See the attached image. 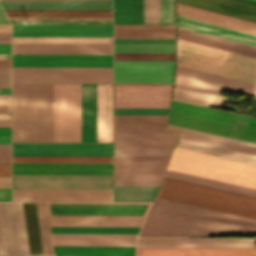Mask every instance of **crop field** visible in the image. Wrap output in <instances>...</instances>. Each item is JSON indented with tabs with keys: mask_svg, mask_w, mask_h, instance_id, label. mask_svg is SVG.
<instances>
[{
	"mask_svg": "<svg viewBox=\"0 0 256 256\" xmlns=\"http://www.w3.org/2000/svg\"><path fill=\"white\" fill-rule=\"evenodd\" d=\"M165 177L256 198L255 189L233 185L225 182H220V181H216L208 178H203V177L190 175L182 172H177L169 169L166 170Z\"/></svg>",
	"mask_w": 256,
	"mask_h": 256,
	"instance_id": "obj_37",
	"label": "crop field"
},
{
	"mask_svg": "<svg viewBox=\"0 0 256 256\" xmlns=\"http://www.w3.org/2000/svg\"><path fill=\"white\" fill-rule=\"evenodd\" d=\"M7 17H112V10H4Z\"/></svg>",
	"mask_w": 256,
	"mask_h": 256,
	"instance_id": "obj_38",
	"label": "crop field"
},
{
	"mask_svg": "<svg viewBox=\"0 0 256 256\" xmlns=\"http://www.w3.org/2000/svg\"><path fill=\"white\" fill-rule=\"evenodd\" d=\"M169 156H114V178H162Z\"/></svg>",
	"mask_w": 256,
	"mask_h": 256,
	"instance_id": "obj_18",
	"label": "crop field"
},
{
	"mask_svg": "<svg viewBox=\"0 0 256 256\" xmlns=\"http://www.w3.org/2000/svg\"><path fill=\"white\" fill-rule=\"evenodd\" d=\"M158 198L256 220V199L164 178Z\"/></svg>",
	"mask_w": 256,
	"mask_h": 256,
	"instance_id": "obj_4",
	"label": "crop field"
},
{
	"mask_svg": "<svg viewBox=\"0 0 256 256\" xmlns=\"http://www.w3.org/2000/svg\"><path fill=\"white\" fill-rule=\"evenodd\" d=\"M134 247H54L56 256H133Z\"/></svg>",
	"mask_w": 256,
	"mask_h": 256,
	"instance_id": "obj_39",
	"label": "crop field"
},
{
	"mask_svg": "<svg viewBox=\"0 0 256 256\" xmlns=\"http://www.w3.org/2000/svg\"><path fill=\"white\" fill-rule=\"evenodd\" d=\"M256 234V221L156 198L138 236Z\"/></svg>",
	"mask_w": 256,
	"mask_h": 256,
	"instance_id": "obj_1",
	"label": "crop field"
},
{
	"mask_svg": "<svg viewBox=\"0 0 256 256\" xmlns=\"http://www.w3.org/2000/svg\"><path fill=\"white\" fill-rule=\"evenodd\" d=\"M12 67H112V55H12Z\"/></svg>",
	"mask_w": 256,
	"mask_h": 256,
	"instance_id": "obj_15",
	"label": "crop field"
},
{
	"mask_svg": "<svg viewBox=\"0 0 256 256\" xmlns=\"http://www.w3.org/2000/svg\"><path fill=\"white\" fill-rule=\"evenodd\" d=\"M0 254H29L21 202H0Z\"/></svg>",
	"mask_w": 256,
	"mask_h": 256,
	"instance_id": "obj_12",
	"label": "crop field"
},
{
	"mask_svg": "<svg viewBox=\"0 0 256 256\" xmlns=\"http://www.w3.org/2000/svg\"><path fill=\"white\" fill-rule=\"evenodd\" d=\"M168 129L182 131L179 137L181 139L256 155V144L253 143L179 127L171 124H169Z\"/></svg>",
	"mask_w": 256,
	"mask_h": 256,
	"instance_id": "obj_27",
	"label": "crop field"
},
{
	"mask_svg": "<svg viewBox=\"0 0 256 256\" xmlns=\"http://www.w3.org/2000/svg\"><path fill=\"white\" fill-rule=\"evenodd\" d=\"M177 26L256 46V35L253 34L203 23L179 16H177Z\"/></svg>",
	"mask_w": 256,
	"mask_h": 256,
	"instance_id": "obj_34",
	"label": "crop field"
},
{
	"mask_svg": "<svg viewBox=\"0 0 256 256\" xmlns=\"http://www.w3.org/2000/svg\"><path fill=\"white\" fill-rule=\"evenodd\" d=\"M114 38H174V25H114Z\"/></svg>",
	"mask_w": 256,
	"mask_h": 256,
	"instance_id": "obj_36",
	"label": "crop field"
},
{
	"mask_svg": "<svg viewBox=\"0 0 256 256\" xmlns=\"http://www.w3.org/2000/svg\"><path fill=\"white\" fill-rule=\"evenodd\" d=\"M151 203H47L49 215H145Z\"/></svg>",
	"mask_w": 256,
	"mask_h": 256,
	"instance_id": "obj_16",
	"label": "crop field"
},
{
	"mask_svg": "<svg viewBox=\"0 0 256 256\" xmlns=\"http://www.w3.org/2000/svg\"><path fill=\"white\" fill-rule=\"evenodd\" d=\"M177 38L255 57L256 58V47L178 28L177 27Z\"/></svg>",
	"mask_w": 256,
	"mask_h": 256,
	"instance_id": "obj_32",
	"label": "crop field"
},
{
	"mask_svg": "<svg viewBox=\"0 0 256 256\" xmlns=\"http://www.w3.org/2000/svg\"><path fill=\"white\" fill-rule=\"evenodd\" d=\"M12 43H112V37H12Z\"/></svg>",
	"mask_w": 256,
	"mask_h": 256,
	"instance_id": "obj_45",
	"label": "crop field"
},
{
	"mask_svg": "<svg viewBox=\"0 0 256 256\" xmlns=\"http://www.w3.org/2000/svg\"><path fill=\"white\" fill-rule=\"evenodd\" d=\"M241 1H245V2H248V3L256 4V1H254V0H241Z\"/></svg>",
	"mask_w": 256,
	"mask_h": 256,
	"instance_id": "obj_73",
	"label": "crop field"
},
{
	"mask_svg": "<svg viewBox=\"0 0 256 256\" xmlns=\"http://www.w3.org/2000/svg\"><path fill=\"white\" fill-rule=\"evenodd\" d=\"M12 201H112V190L12 189Z\"/></svg>",
	"mask_w": 256,
	"mask_h": 256,
	"instance_id": "obj_17",
	"label": "crop field"
},
{
	"mask_svg": "<svg viewBox=\"0 0 256 256\" xmlns=\"http://www.w3.org/2000/svg\"><path fill=\"white\" fill-rule=\"evenodd\" d=\"M0 201H10V189H0Z\"/></svg>",
	"mask_w": 256,
	"mask_h": 256,
	"instance_id": "obj_61",
	"label": "crop field"
},
{
	"mask_svg": "<svg viewBox=\"0 0 256 256\" xmlns=\"http://www.w3.org/2000/svg\"><path fill=\"white\" fill-rule=\"evenodd\" d=\"M0 23H8L2 9L0 8Z\"/></svg>",
	"mask_w": 256,
	"mask_h": 256,
	"instance_id": "obj_65",
	"label": "crop field"
},
{
	"mask_svg": "<svg viewBox=\"0 0 256 256\" xmlns=\"http://www.w3.org/2000/svg\"><path fill=\"white\" fill-rule=\"evenodd\" d=\"M12 188L112 189V176L12 175Z\"/></svg>",
	"mask_w": 256,
	"mask_h": 256,
	"instance_id": "obj_11",
	"label": "crop field"
},
{
	"mask_svg": "<svg viewBox=\"0 0 256 256\" xmlns=\"http://www.w3.org/2000/svg\"><path fill=\"white\" fill-rule=\"evenodd\" d=\"M0 39H10V33H0Z\"/></svg>",
	"mask_w": 256,
	"mask_h": 256,
	"instance_id": "obj_70",
	"label": "crop field"
},
{
	"mask_svg": "<svg viewBox=\"0 0 256 256\" xmlns=\"http://www.w3.org/2000/svg\"><path fill=\"white\" fill-rule=\"evenodd\" d=\"M81 142H96V84H81Z\"/></svg>",
	"mask_w": 256,
	"mask_h": 256,
	"instance_id": "obj_31",
	"label": "crop field"
},
{
	"mask_svg": "<svg viewBox=\"0 0 256 256\" xmlns=\"http://www.w3.org/2000/svg\"><path fill=\"white\" fill-rule=\"evenodd\" d=\"M0 136H10V128H0Z\"/></svg>",
	"mask_w": 256,
	"mask_h": 256,
	"instance_id": "obj_64",
	"label": "crop field"
},
{
	"mask_svg": "<svg viewBox=\"0 0 256 256\" xmlns=\"http://www.w3.org/2000/svg\"><path fill=\"white\" fill-rule=\"evenodd\" d=\"M161 24H174L173 0H160Z\"/></svg>",
	"mask_w": 256,
	"mask_h": 256,
	"instance_id": "obj_53",
	"label": "crop field"
},
{
	"mask_svg": "<svg viewBox=\"0 0 256 256\" xmlns=\"http://www.w3.org/2000/svg\"><path fill=\"white\" fill-rule=\"evenodd\" d=\"M3 9H112L111 0H0Z\"/></svg>",
	"mask_w": 256,
	"mask_h": 256,
	"instance_id": "obj_23",
	"label": "crop field"
},
{
	"mask_svg": "<svg viewBox=\"0 0 256 256\" xmlns=\"http://www.w3.org/2000/svg\"><path fill=\"white\" fill-rule=\"evenodd\" d=\"M182 3L256 21V6L234 0H180Z\"/></svg>",
	"mask_w": 256,
	"mask_h": 256,
	"instance_id": "obj_35",
	"label": "crop field"
},
{
	"mask_svg": "<svg viewBox=\"0 0 256 256\" xmlns=\"http://www.w3.org/2000/svg\"><path fill=\"white\" fill-rule=\"evenodd\" d=\"M169 169L256 189V165L175 147Z\"/></svg>",
	"mask_w": 256,
	"mask_h": 256,
	"instance_id": "obj_5",
	"label": "crop field"
},
{
	"mask_svg": "<svg viewBox=\"0 0 256 256\" xmlns=\"http://www.w3.org/2000/svg\"><path fill=\"white\" fill-rule=\"evenodd\" d=\"M223 90L256 96V85L176 65L173 99L220 108Z\"/></svg>",
	"mask_w": 256,
	"mask_h": 256,
	"instance_id": "obj_6",
	"label": "crop field"
},
{
	"mask_svg": "<svg viewBox=\"0 0 256 256\" xmlns=\"http://www.w3.org/2000/svg\"><path fill=\"white\" fill-rule=\"evenodd\" d=\"M0 177H10V164H0Z\"/></svg>",
	"mask_w": 256,
	"mask_h": 256,
	"instance_id": "obj_60",
	"label": "crop field"
},
{
	"mask_svg": "<svg viewBox=\"0 0 256 256\" xmlns=\"http://www.w3.org/2000/svg\"><path fill=\"white\" fill-rule=\"evenodd\" d=\"M12 83H112V68H12Z\"/></svg>",
	"mask_w": 256,
	"mask_h": 256,
	"instance_id": "obj_9",
	"label": "crop field"
},
{
	"mask_svg": "<svg viewBox=\"0 0 256 256\" xmlns=\"http://www.w3.org/2000/svg\"><path fill=\"white\" fill-rule=\"evenodd\" d=\"M0 87H10V68H0Z\"/></svg>",
	"mask_w": 256,
	"mask_h": 256,
	"instance_id": "obj_57",
	"label": "crop field"
},
{
	"mask_svg": "<svg viewBox=\"0 0 256 256\" xmlns=\"http://www.w3.org/2000/svg\"><path fill=\"white\" fill-rule=\"evenodd\" d=\"M30 254H43L35 202H22Z\"/></svg>",
	"mask_w": 256,
	"mask_h": 256,
	"instance_id": "obj_40",
	"label": "crop field"
},
{
	"mask_svg": "<svg viewBox=\"0 0 256 256\" xmlns=\"http://www.w3.org/2000/svg\"><path fill=\"white\" fill-rule=\"evenodd\" d=\"M171 84H114V108H169Z\"/></svg>",
	"mask_w": 256,
	"mask_h": 256,
	"instance_id": "obj_10",
	"label": "crop field"
},
{
	"mask_svg": "<svg viewBox=\"0 0 256 256\" xmlns=\"http://www.w3.org/2000/svg\"><path fill=\"white\" fill-rule=\"evenodd\" d=\"M53 142H80V84H53Z\"/></svg>",
	"mask_w": 256,
	"mask_h": 256,
	"instance_id": "obj_8",
	"label": "crop field"
},
{
	"mask_svg": "<svg viewBox=\"0 0 256 256\" xmlns=\"http://www.w3.org/2000/svg\"><path fill=\"white\" fill-rule=\"evenodd\" d=\"M167 117L114 115V132L176 133L166 130Z\"/></svg>",
	"mask_w": 256,
	"mask_h": 256,
	"instance_id": "obj_29",
	"label": "crop field"
},
{
	"mask_svg": "<svg viewBox=\"0 0 256 256\" xmlns=\"http://www.w3.org/2000/svg\"><path fill=\"white\" fill-rule=\"evenodd\" d=\"M114 52H174V45H114Z\"/></svg>",
	"mask_w": 256,
	"mask_h": 256,
	"instance_id": "obj_49",
	"label": "crop field"
},
{
	"mask_svg": "<svg viewBox=\"0 0 256 256\" xmlns=\"http://www.w3.org/2000/svg\"><path fill=\"white\" fill-rule=\"evenodd\" d=\"M44 254H53L45 203L36 202Z\"/></svg>",
	"mask_w": 256,
	"mask_h": 256,
	"instance_id": "obj_48",
	"label": "crop field"
},
{
	"mask_svg": "<svg viewBox=\"0 0 256 256\" xmlns=\"http://www.w3.org/2000/svg\"><path fill=\"white\" fill-rule=\"evenodd\" d=\"M137 234H52L54 246H134Z\"/></svg>",
	"mask_w": 256,
	"mask_h": 256,
	"instance_id": "obj_24",
	"label": "crop field"
},
{
	"mask_svg": "<svg viewBox=\"0 0 256 256\" xmlns=\"http://www.w3.org/2000/svg\"><path fill=\"white\" fill-rule=\"evenodd\" d=\"M178 135L114 133V147H173Z\"/></svg>",
	"mask_w": 256,
	"mask_h": 256,
	"instance_id": "obj_33",
	"label": "crop field"
},
{
	"mask_svg": "<svg viewBox=\"0 0 256 256\" xmlns=\"http://www.w3.org/2000/svg\"><path fill=\"white\" fill-rule=\"evenodd\" d=\"M0 188H10V178H0Z\"/></svg>",
	"mask_w": 256,
	"mask_h": 256,
	"instance_id": "obj_62",
	"label": "crop field"
},
{
	"mask_svg": "<svg viewBox=\"0 0 256 256\" xmlns=\"http://www.w3.org/2000/svg\"><path fill=\"white\" fill-rule=\"evenodd\" d=\"M162 179H114V185H159Z\"/></svg>",
	"mask_w": 256,
	"mask_h": 256,
	"instance_id": "obj_56",
	"label": "crop field"
},
{
	"mask_svg": "<svg viewBox=\"0 0 256 256\" xmlns=\"http://www.w3.org/2000/svg\"><path fill=\"white\" fill-rule=\"evenodd\" d=\"M176 146L256 164V156L247 155V154H243V153H239V152H234V151H230V150L207 146V145L194 143V142H190V141H185V140H181V139L178 140Z\"/></svg>",
	"mask_w": 256,
	"mask_h": 256,
	"instance_id": "obj_43",
	"label": "crop field"
},
{
	"mask_svg": "<svg viewBox=\"0 0 256 256\" xmlns=\"http://www.w3.org/2000/svg\"><path fill=\"white\" fill-rule=\"evenodd\" d=\"M11 23H112V18H9Z\"/></svg>",
	"mask_w": 256,
	"mask_h": 256,
	"instance_id": "obj_47",
	"label": "crop field"
},
{
	"mask_svg": "<svg viewBox=\"0 0 256 256\" xmlns=\"http://www.w3.org/2000/svg\"><path fill=\"white\" fill-rule=\"evenodd\" d=\"M0 112H10V95H0Z\"/></svg>",
	"mask_w": 256,
	"mask_h": 256,
	"instance_id": "obj_59",
	"label": "crop field"
},
{
	"mask_svg": "<svg viewBox=\"0 0 256 256\" xmlns=\"http://www.w3.org/2000/svg\"><path fill=\"white\" fill-rule=\"evenodd\" d=\"M169 123L256 143V118L172 100Z\"/></svg>",
	"mask_w": 256,
	"mask_h": 256,
	"instance_id": "obj_3",
	"label": "crop field"
},
{
	"mask_svg": "<svg viewBox=\"0 0 256 256\" xmlns=\"http://www.w3.org/2000/svg\"><path fill=\"white\" fill-rule=\"evenodd\" d=\"M135 256H256V248H136Z\"/></svg>",
	"mask_w": 256,
	"mask_h": 256,
	"instance_id": "obj_25",
	"label": "crop field"
},
{
	"mask_svg": "<svg viewBox=\"0 0 256 256\" xmlns=\"http://www.w3.org/2000/svg\"><path fill=\"white\" fill-rule=\"evenodd\" d=\"M0 119H10V114H0Z\"/></svg>",
	"mask_w": 256,
	"mask_h": 256,
	"instance_id": "obj_71",
	"label": "crop field"
},
{
	"mask_svg": "<svg viewBox=\"0 0 256 256\" xmlns=\"http://www.w3.org/2000/svg\"><path fill=\"white\" fill-rule=\"evenodd\" d=\"M12 174L112 175V164L12 163Z\"/></svg>",
	"mask_w": 256,
	"mask_h": 256,
	"instance_id": "obj_20",
	"label": "crop field"
},
{
	"mask_svg": "<svg viewBox=\"0 0 256 256\" xmlns=\"http://www.w3.org/2000/svg\"><path fill=\"white\" fill-rule=\"evenodd\" d=\"M0 67H10V60H0Z\"/></svg>",
	"mask_w": 256,
	"mask_h": 256,
	"instance_id": "obj_68",
	"label": "crop field"
},
{
	"mask_svg": "<svg viewBox=\"0 0 256 256\" xmlns=\"http://www.w3.org/2000/svg\"><path fill=\"white\" fill-rule=\"evenodd\" d=\"M256 238H138L136 247H255Z\"/></svg>",
	"mask_w": 256,
	"mask_h": 256,
	"instance_id": "obj_21",
	"label": "crop field"
},
{
	"mask_svg": "<svg viewBox=\"0 0 256 256\" xmlns=\"http://www.w3.org/2000/svg\"><path fill=\"white\" fill-rule=\"evenodd\" d=\"M0 127H10V120H0Z\"/></svg>",
	"mask_w": 256,
	"mask_h": 256,
	"instance_id": "obj_67",
	"label": "crop field"
},
{
	"mask_svg": "<svg viewBox=\"0 0 256 256\" xmlns=\"http://www.w3.org/2000/svg\"><path fill=\"white\" fill-rule=\"evenodd\" d=\"M177 52L227 64L228 52L178 40ZM176 64L256 84V59L230 53L229 66L178 54Z\"/></svg>",
	"mask_w": 256,
	"mask_h": 256,
	"instance_id": "obj_7",
	"label": "crop field"
},
{
	"mask_svg": "<svg viewBox=\"0 0 256 256\" xmlns=\"http://www.w3.org/2000/svg\"><path fill=\"white\" fill-rule=\"evenodd\" d=\"M12 141L52 142V84H12Z\"/></svg>",
	"mask_w": 256,
	"mask_h": 256,
	"instance_id": "obj_2",
	"label": "crop field"
},
{
	"mask_svg": "<svg viewBox=\"0 0 256 256\" xmlns=\"http://www.w3.org/2000/svg\"><path fill=\"white\" fill-rule=\"evenodd\" d=\"M177 15L256 34V23L178 4Z\"/></svg>",
	"mask_w": 256,
	"mask_h": 256,
	"instance_id": "obj_28",
	"label": "crop field"
},
{
	"mask_svg": "<svg viewBox=\"0 0 256 256\" xmlns=\"http://www.w3.org/2000/svg\"><path fill=\"white\" fill-rule=\"evenodd\" d=\"M144 24H160L159 0H143Z\"/></svg>",
	"mask_w": 256,
	"mask_h": 256,
	"instance_id": "obj_52",
	"label": "crop field"
},
{
	"mask_svg": "<svg viewBox=\"0 0 256 256\" xmlns=\"http://www.w3.org/2000/svg\"><path fill=\"white\" fill-rule=\"evenodd\" d=\"M174 53H114V60H173Z\"/></svg>",
	"mask_w": 256,
	"mask_h": 256,
	"instance_id": "obj_50",
	"label": "crop field"
},
{
	"mask_svg": "<svg viewBox=\"0 0 256 256\" xmlns=\"http://www.w3.org/2000/svg\"><path fill=\"white\" fill-rule=\"evenodd\" d=\"M0 144H10V137H0Z\"/></svg>",
	"mask_w": 256,
	"mask_h": 256,
	"instance_id": "obj_66",
	"label": "crop field"
},
{
	"mask_svg": "<svg viewBox=\"0 0 256 256\" xmlns=\"http://www.w3.org/2000/svg\"><path fill=\"white\" fill-rule=\"evenodd\" d=\"M140 227H51L52 233H137Z\"/></svg>",
	"mask_w": 256,
	"mask_h": 256,
	"instance_id": "obj_46",
	"label": "crop field"
},
{
	"mask_svg": "<svg viewBox=\"0 0 256 256\" xmlns=\"http://www.w3.org/2000/svg\"><path fill=\"white\" fill-rule=\"evenodd\" d=\"M0 53H10V44H0Z\"/></svg>",
	"mask_w": 256,
	"mask_h": 256,
	"instance_id": "obj_63",
	"label": "crop field"
},
{
	"mask_svg": "<svg viewBox=\"0 0 256 256\" xmlns=\"http://www.w3.org/2000/svg\"><path fill=\"white\" fill-rule=\"evenodd\" d=\"M0 43H10V40H0Z\"/></svg>",
	"mask_w": 256,
	"mask_h": 256,
	"instance_id": "obj_74",
	"label": "crop field"
},
{
	"mask_svg": "<svg viewBox=\"0 0 256 256\" xmlns=\"http://www.w3.org/2000/svg\"><path fill=\"white\" fill-rule=\"evenodd\" d=\"M173 148H114V155H170Z\"/></svg>",
	"mask_w": 256,
	"mask_h": 256,
	"instance_id": "obj_51",
	"label": "crop field"
},
{
	"mask_svg": "<svg viewBox=\"0 0 256 256\" xmlns=\"http://www.w3.org/2000/svg\"><path fill=\"white\" fill-rule=\"evenodd\" d=\"M0 59H10V54H0Z\"/></svg>",
	"mask_w": 256,
	"mask_h": 256,
	"instance_id": "obj_72",
	"label": "crop field"
},
{
	"mask_svg": "<svg viewBox=\"0 0 256 256\" xmlns=\"http://www.w3.org/2000/svg\"><path fill=\"white\" fill-rule=\"evenodd\" d=\"M12 155L112 156V143H12Z\"/></svg>",
	"mask_w": 256,
	"mask_h": 256,
	"instance_id": "obj_14",
	"label": "crop field"
},
{
	"mask_svg": "<svg viewBox=\"0 0 256 256\" xmlns=\"http://www.w3.org/2000/svg\"><path fill=\"white\" fill-rule=\"evenodd\" d=\"M12 162L112 163V157L12 156Z\"/></svg>",
	"mask_w": 256,
	"mask_h": 256,
	"instance_id": "obj_44",
	"label": "crop field"
},
{
	"mask_svg": "<svg viewBox=\"0 0 256 256\" xmlns=\"http://www.w3.org/2000/svg\"><path fill=\"white\" fill-rule=\"evenodd\" d=\"M159 186H114V201H152Z\"/></svg>",
	"mask_w": 256,
	"mask_h": 256,
	"instance_id": "obj_42",
	"label": "crop field"
},
{
	"mask_svg": "<svg viewBox=\"0 0 256 256\" xmlns=\"http://www.w3.org/2000/svg\"><path fill=\"white\" fill-rule=\"evenodd\" d=\"M0 94H10V88H0Z\"/></svg>",
	"mask_w": 256,
	"mask_h": 256,
	"instance_id": "obj_69",
	"label": "crop field"
},
{
	"mask_svg": "<svg viewBox=\"0 0 256 256\" xmlns=\"http://www.w3.org/2000/svg\"><path fill=\"white\" fill-rule=\"evenodd\" d=\"M12 36H112V25H12Z\"/></svg>",
	"mask_w": 256,
	"mask_h": 256,
	"instance_id": "obj_19",
	"label": "crop field"
},
{
	"mask_svg": "<svg viewBox=\"0 0 256 256\" xmlns=\"http://www.w3.org/2000/svg\"><path fill=\"white\" fill-rule=\"evenodd\" d=\"M169 109H114V114L168 115Z\"/></svg>",
	"mask_w": 256,
	"mask_h": 256,
	"instance_id": "obj_55",
	"label": "crop field"
},
{
	"mask_svg": "<svg viewBox=\"0 0 256 256\" xmlns=\"http://www.w3.org/2000/svg\"><path fill=\"white\" fill-rule=\"evenodd\" d=\"M12 54H112V44H12Z\"/></svg>",
	"mask_w": 256,
	"mask_h": 256,
	"instance_id": "obj_22",
	"label": "crop field"
},
{
	"mask_svg": "<svg viewBox=\"0 0 256 256\" xmlns=\"http://www.w3.org/2000/svg\"><path fill=\"white\" fill-rule=\"evenodd\" d=\"M114 44H174V39H114Z\"/></svg>",
	"mask_w": 256,
	"mask_h": 256,
	"instance_id": "obj_54",
	"label": "crop field"
},
{
	"mask_svg": "<svg viewBox=\"0 0 256 256\" xmlns=\"http://www.w3.org/2000/svg\"><path fill=\"white\" fill-rule=\"evenodd\" d=\"M145 216H49L51 226H140Z\"/></svg>",
	"mask_w": 256,
	"mask_h": 256,
	"instance_id": "obj_26",
	"label": "crop field"
},
{
	"mask_svg": "<svg viewBox=\"0 0 256 256\" xmlns=\"http://www.w3.org/2000/svg\"><path fill=\"white\" fill-rule=\"evenodd\" d=\"M27 256H35V255H27Z\"/></svg>",
	"mask_w": 256,
	"mask_h": 256,
	"instance_id": "obj_76",
	"label": "crop field"
},
{
	"mask_svg": "<svg viewBox=\"0 0 256 256\" xmlns=\"http://www.w3.org/2000/svg\"><path fill=\"white\" fill-rule=\"evenodd\" d=\"M97 142H112V84H97Z\"/></svg>",
	"mask_w": 256,
	"mask_h": 256,
	"instance_id": "obj_30",
	"label": "crop field"
},
{
	"mask_svg": "<svg viewBox=\"0 0 256 256\" xmlns=\"http://www.w3.org/2000/svg\"><path fill=\"white\" fill-rule=\"evenodd\" d=\"M0 163H10V145H0Z\"/></svg>",
	"mask_w": 256,
	"mask_h": 256,
	"instance_id": "obj_58",
	"label": "crop field"
},
{
	"mask_svg": "<svg viewBox=\"0 0 256 256\" xmlns=\"http://www.w3.org/2000/svg\"><path fill=\"white\" fill-rule=\"evenodd\" d=\"M114 23L143 24L142 0H113Z\"/></svg>",
	"mask_w": 256,
	"mask_h": 256,
	"instance_id": "obj_41",
	"label": "crop field"
},
{
	"mask_svg": "<svg viewBox=\"0 0 256 256\" xmlns=\"http://www.w3.org/2000/svg\"><path fill=\"white\" fill-rule=\"evenodd\" d=\"M36 256H54V255H36Z\"/></svg>",
	"mask_w": 256,
	"mask_h": 256,
	"instance_id": "obj_75",
	"label": "crop field"
},
{
	"mask_svg": "<svg viewBox=\"0 0 256 256\" xmlns=\"http://www.w3.org/2000/svg\"><path fill=\"white\" fill-rule=\"evenodd\" d=\"M173 61H114V83H171Z\"/></svg>",
	"mask_w": 256,
	"mask_h": 256,
	"instance_id": "obj_13",
	"label": "crop field"
}]
</instances>
